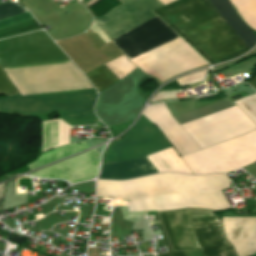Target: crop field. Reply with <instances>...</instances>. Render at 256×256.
<instances>
[{
    "label": "crop field",
    "mask_w": 256,
    "mask_h": 256,
    "mask_svg": "<svg viewBox=\"0 0 256 256\" xmlns=\"http://www.w3.org/2000/svg\"><path fill=\"white\" fill-rule=\"evenodd\" d=\"M178 37L158 16L111 40L128 58Z\"/></svg>",
    "instance_id": "9"
},
{
    "label": "crop field",
    "mask_w": 256,
    "mask_h": 256,
    "mask_svg": "<svg viewBox=\"0 0 256 256\" xmlns=\"http://www.w3.org/2000/svg\"><path fill=\"white\" fill-rule=\"evenodd\" d=\"M230 181L224 174L189 176L163 173L126 181L97 180V197L130 199L128 211L172 210L183 207L229 208L221 190Z\"/></svg>",
    "instance_id": "2"
},
{
    "label": "crop field",
    "mask_w": 256,
    "mask_h": 256,
    "mask_svg": "<svg viewBox=\"0 0 256 256\" xmlns=\"http://www.w3.org/2000/svg\"><path fill=\"white\" fill-rule=\"evenodd\" d=\"M154 12L207 57L211 65L249 50L208 0H176Z\"/></svg>",
    "instance_id": "3"
},
{
    "label": "crop field",
    "mask_w": 256,
    "mask_h": 256,
    "mask_svg": "<svg viewBox=\"0 0 256 256\" xmlns=\"http://www.w3.org/2000/svg\"><path fill=\"white\" fill-rule=\"evenodd\" d=\"M144 76L137 68L113 86L99 92L95 113L107 126L133 120L143 99L136 93L137 81Z\"/></svg>",
    "instance_id": "7"
},
{
    "label": "crop field",
    "mask_w": 256,
    "mask_h": 256,
    "mask_svg": "<svg viewBox=\"0 0 256 256\" xmlns=\"http://www.w3.org/2000/svg\"><path fill=\"white\" fill-rule=\"evenodd\" d=\"M41 27L35 21L34 18L5 27L0 29V38H5L9 36L19 35L35 30H39Z\"/></svg>",
    "instance_id": "17"
},
{
    "label": "crop field",
    "mask_w": 256,
    "mask_h": 256,
    "mask_svg": "<svg viewBox=\"0 0 256 256\" xmlns=\"http://www.w3.org/2000/svg\"><path fill=\"white\" fill-rule=\"evenodd\" d=\"M26 12L22 7H19L8 1L0 5V20L8 19L14 15Z\"/></svg>",
    "instance_id": "20"
},
{
    "label": "crop field",
    "mask_w": 256,
    "mask_h": 256,
    "mask_svg": "<svg viewBox=\"0 0 256 256\" xmlns=\"http://www.w3.org/2000/svg\"><path fill=\"white\" fill-rule=\"evenodd\" d=\"M158 215L174 250L160 256H186L184 250L195 248H200L203 256H237L211 211L182 209Z\"/></svg>",
    "instance_id": "4"
},
{
    "label": "crop field",
    "mask_w": 256,
    "mask_h": 256,
    "mask_svg": "<svg viewBox=\"0 0 256 256\" xmlns=\"http://www.w3.org/2000/svg\"><path fill=\"white\" fill-rule=\"evenodd\" d=\"M64 60L69 59L44 31L0 40L1 67ZM70 63L33 64L42 66H17L21 68H10L6 71L18 86L22 95L91 88L86 81L87 79H84V75L71 63L82 76ZM95 97L96 91L94 89L7 97L0 99V111L22 112L27 115L60 111L64 121L71 126L96 124L98 119L92 110Z\"/></svg>",
    "instance_id": "1"
},
{
    "label": "crop field",
    "mask_w": 256,
    "mask_h": 256,
    "mask_svg": "<svg viewBox=\"0 0 256 256\" xmlns=\"http://www.w3.org/2000/svg\"><path fill=\"white\" fill-rule=\"evenodd\" d=\"M42 152L68 144V130L71 128L62 120L42 122Z\"/></svg>",
    "instance_id": "14"
},
{
    "label": "crop field",
    "mask_w": 256,
    "mask_h": 256,
    "mask_svg": "<svg viewBox=\"0 0 256 256\" xmlns=\"http://www.w3.org/2000/svg\"><path fill=\"white\" fill-rule=\"evenodd\" d=\"M86 148H88V145L85 142L67 145V146L52 150L48 153L41 155L35 162L27 165V167L30 170H32L34 168L43 166V165H45L49 162H52L54 160L63 158L65 156L71 155V154L79 152V151H82Z\"/></svg>",
    "instance_id": "15"
},
{
    "label": "crop field",
    "mask_w": 256,
    "mask_h": 256,
    "mask_svg": "<svg viewBox=\"0 0 256 256\" xmlns=\"http://www.w3.org/2000/svg\"><path fill=\"white\" fill-rule=\"evenodd\" d=\"M86 76L93 83L98 92L119 80L104 65L86 73Z\"/></svg>",
    "instance_id": "16"
},
{
    "label": "crop field",
    "mask_w": 256,
    "mask_h": 256,
    "mask_svg": "<svg viewBox=\"0 0 256 256\" xmlns=\"http://www.w3.org/2000/svg\"><path fill=\"white\" fill-rule=\"evenodd\" d=\"M147 158L158 172L191 174L173 147ZM182 158L195 174L231 172L256 161V130Z\"/></svg>",
    "instance_id": "5"
},
{
    "label": "crop field",
    "mask_w": 256,
    "mask_h": 256,
    "mask_svg": "<svg viewBox=\"0 0 256 256\" xmlns=\"http://www.w3.org/2000/svg\"><path fill=\"white\" fill-rule=\"evenodd\" d=\"M223 226L238 256L256 253V217H223Z\"/></svg>",
    "instance_id": "12"
},
{
    "label": "crop field",
    "mask_w": 256,
    "mask_h": 256,
    "mask_svg": "<svg viewBox=\"0 0 256 256\" xmlns=\"http://www.w3.org/2000/svg\"><path fill=\"white\" fill-rule=\"evenodd\" d=\"M100 154L92 149L29 175L39 178L65 179L70 183L89 180L96 177L98 173Z\"/></svg>",
    "instance_id": "10"
},
{
    "label": "crop field",
    "mask_w": 256,
    "mask_h": 256,
    "mask_svg": "<svg viewBox=\"0 0 256 256\" xmlns=\"http://www.w3.org/2000/svg\"><path fill=\"white\" fill-rule=\"evenodd\" d=\"M209 1L231 26V28L237 33V35L242 39V41L247 45L248 48L256 42V37L235 15L233 11L234 9L232 10L228 0Z\"/></svg>",
    "instance_id": "13"
},
{
    "label": "crop field",
    "mask_w": 256,
    "mask_h": 256,
    "mask_svg": "<svg viewBox=\"0 0 256 256\" xmlns=\"http://www.w3.org/2000/svg\"><path fill=\"white\" fill-rule=\"evenodd\" d=\"M234 103L256 123V94Z\"/></svg>",
    "instance_id": "19"
},
{
    "label": "crop field",
    "mask_w": 256,
    "mask_h": 256,
    "mask_svg": "<svg viewBox=\"0 0 256 256\" xmlns=\"http://www.w3.org/2000/svg\"><path fill=\"white\" fill-rule=\"evenodd\" d=\"M175 93H182L181 90L176 91H164V92H158L151 101L160 100V99H169V98H175Z\"/></svg>",
    "instance_id": "22"
},
{
    "label": "crop field",
    "mask_w": 256,
    "mask_h": 256,
    "mask_svg": "<svg viewBox=\"0 0 256 256\" xmlns=\"http://www.w3.org/2000/svg\"><path fill=\"white\" fill-rule=\"evenodd\" d=\"M119 1L121 5L93 21L110 40L157 16L152 10L163 6L158 0Z\"/></svg>",
    "instance_id": "8"
},
{
    "label": "crop field",
    "mask_w": 256,
    "mask_h": 256,
    "mask_svg": "<svg viewBox=\"0 0 256 256\" xmlns=\"http://www.w3.org/2000/svg\"><path fill=\"white\" fill-rule=\"evenodd\" d=\"M170 147L157 128L142 115L128 136L112 145L104 153L102 162L123 161L147 156ZM146 157L102 163L101 175L105 179H130L156 173Z\"/></svg>",
    "instance_id": "6"
},
{
    "label": "crop field",
    "mask_w": 256,
    "mask_h": 256,
    "mask_svg": "<svg viewBox=\"0 0 256 256\" xmlns=\"http://www.w3.org/2000/svg\"><path fill=\"white\" fill-rule=\"evenodd\" d=\"M247 83L250 84L256 90V76Z\"/></svg>",
    "instance_id": "24"
},
{
    "label": "crop field",
    "mask_w": 256,
    "mask_h": 256,
    "mask_svg": "<svg viewBox=\"0 0 256 256\" xmlns=\"http://www.w3.org/2000/svg\"><path fill=\"white\" fill-rule=\"evenodd\" d=\"M18 91L15 89L11 81L8 79L6 74L0 68V94L13 95L17 94Z\"/></svg>",
    "instance_id": "21"
},
{
    "label": "crop field",
    "mask_w": 256,
    "mask_h": 256,
    "mask_svg": "<svg viewBox=\"0 0 256 256\" xmlns=\"http://www.w3.org/2000/svg\"><path fill=\"white\" fill-rule=\"evenodd\" d=\"M5 184L0 185V208L2 206V201H3V196H4V192H5Z\"/></svg>",
    "instance_id": "23"
},
{
    "label": "crop field",
    "mask_w": 256,
    "mask_h": 256,
    "mask_svg": "<svg viewBox=\"0 0 256 256\" xmlns=\"http://www.w3.org/2000/svg\"><path fill=\"white\" fill-rule=\"evenodd\" d=\"M142 115L161 129L180 156L200 150L188 133L171 117L164 103L146 107Z\"/></svg>",
    "instance_id": "11"
},
{
    "label": "crop field",
    "mask_w": 256,
    "mask_h": 256,
    "mask_svg": "<svg viewBox=\"0 0 256 256\" xmlns=\"http://www.w3.org/2000/svg\"><path fill=\"white\" fill-rule=\"evenodd\" d=\"M110 71H112L119 79L137 68L127 57L121 55L112 61L104 64Z\"/></svg>",
    "instance_id": "18"
}]
</instances>
